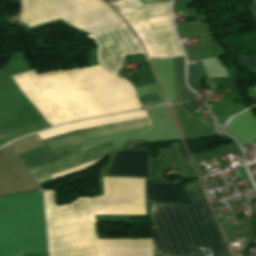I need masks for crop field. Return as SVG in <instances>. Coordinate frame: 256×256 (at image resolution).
<instances>
[{
	"mask_svg": "<svg viewBox=\"0 0 256 256\" xmlns=\"http://www.w3.org/2000/svg\"><path fill=\"white\" fill-rule=\"evenodd\" d=\"M104 196H89L96 256H153L150 239H99L93 214H144V179L103 177ZM49 256H95L88 196L56 205L43 190Z\"/></svg>",
	"mask_w": 256,
	"mask_h": 256,
	"instance_id": "1",
	"label": "crop field"
},
{
	"mask_svg": "<svg viewBox=\"0 0 256 256\" xmlns=\"http://www.w3.org/2000/svg\"><path fill=\"white\" fill-rule=\"evenodd\" d=\"M13 80L50 126L140 108L130 83L100 66Z\"/></svg>",
	"mask_w": 256,
	"mask_h": 256,
	"instance_id": "2",
	"label": "crop field"
},
{
	"mask_svg": "<svg viewBox=\"0 0 256 256\" xmlns=\"http://www.w3.org/2000/svg\"><path fill=\"white\" fill-rule=\"evenodd\" d=\"M183 187L191 205L152 203L155 256H191L193 246L229 256L199 181Z\"/></svg>",
	"mask_w": 256,
	"mask_h": 256,
	"instance_id": "3",
	"label": "crop field"
},
{
	"mask_svg": "<svg viewBox=\"0 0 256 256\" xmlns=\"http://www.w3.org/2000/svg\"><path fill=\"white\" fill-rule=\"evenodd\" d=\"M150 126L149 118H141L136 120H130L125 122H119V123H113L98 127H92L82 130H76L69 133H65L53 138H49L46 140H43V143L50 149H55L76 141L84 140L90 137L114 132V131H120V130H126V129H133V128H140V127H146ZM43 145L28 151H25L23 153L18 154V157L21 159V161L26 166L27 170L45 165L54 161L84 154L96 149H100L109 145H112L111 141L84 147L78 149V142L52 150L53 154L48 150V148ZM116 150L114 145L96 150L81 156L57 161L45 166H41L32 170H29L31 175L34 177L35 180L52 175L54 173L90 162L92 160L107 156L112 151Z\"/></svg>",
	"mask_w": 256,
	"mask_h": 256,
	"instance_id": "4",
	"label": "crop field"
},
{
	"mask_svg": "<svg viewBox=\"0 0 256 256\" xmlns=\"http://www.w3.org/2000/svg\"><path fill=\"white\" fill-rule=\"evenodd\" d=\"M47 252L41 191L0 198V256Z\"/></svg>",
	"mask_w": 256,
	"mask_h": 256,
	"instance_id": "5",
	"label": "crop field"
},
{
	"mask_svg": "<svg viewBox=\"0 0 256 256\" xmlns=\"http://www.w3.org/2000/svg\"><path fill=\"white\" fill-rule=\"evenodd\" d=\"M59 17L89 33L123 23L101 0H21L19 19L28 26Z\"/></svg>",
	"mask_w": 256,
	"mask_h": 256,
	"instance_id": "6",
	"label": "crop field"
},
{
	"mask_svg": "<svg viewBox=\"0 0 256 256\" xmlns=\"http://www.w3.org/2000/svg\"><path fill=\"white\" fill-rule=\"evenodd\" d=\"M129 22L150 58L182 55L173 35L169 2L142 4L140 0L109 2Z\"/></svg>",
	"mask_w": 256,
	"mask_h": 256,
	"instance_id": "7",
	"label": "crop field"
},
{
	"mask_svg": "<svg viewBox=\"0 0 256 256\" xmlns=\"http://www.w3.org/2000/svg\"><path fill=\"white\" fill-rule=\"evenodd\" d=\"M97 45V63L116 75L124 56L143 53L125 24L87 35Z\"/></svg>",
	"mask_w": 256,
	"mask_h": 256,
	"instance_id": "8",
	"label": "crop field"
},
{
	"mask_svg": "<svg viewBox=\"0 0 256 256\" xmlns=\"http://www.w3.org/2000/svg\"><path fill=\"white\" fill-rule=\"evenodd\" d=\"M107 176L148 177L147 150H126L116 153Z\"/></svg>",
	"mask_w": 256,
	"mask_h": 256,
	"instance_id": "9",
	"label": "crop field"
},
{
	"mask_svg": "<svg viewBox=\"0 0 256 256\" xmlns=\"http://www.w3.org/2000/svg\"><path fill=\"white\" fill-rule=\"evenodd\" d=\"M145 116L146 115L143 110H136V111L129 112V113L116 114V115H110V116H104V117L79 121L74 124L61 126L58 128H54V129L39 133V135L42 139H44V138H48L51 136H55V135L65 133L68 131H72V130H76V129H82V128L103 125V124H108V123H113V122L136 119V118H141V117H145Z\"/></svg>",
	"mask_w": 256,
	"mask_h": 256,
	"instance_id": "10",
	"label": "crop field"
},
{
	"mask_svg": "<svg viewBox=\"0 0 256 256\" xmlns=\"http://www.w3.org/2000/svg\"><path fill=\"white\" fill-rule=\"evenodd\" d=\"M146 200L181 203L179 184L146 181Z\"/></svg>",
	"mask_w": 256,
	"mask_h": 256,
	"instance_id": "11",
	"label": "crop field"
},
{
	"mask_svg": "<svg viewBox=\"0 0 256 256\" xmlns=\"http://www.w3.org/2000/svg\"><path fill=\"white\" fill-rule=\"evenodd\" d=\"M174 102H183L195 98L184 84L183 56L173 59Z\"/></svg>",
	"mask_w": 256,
	"mask_h": 256,
	"instance_id": "12",
	"label": "crop field"
},
{
	"mask_svg": "<svg viewBox=\"0 0 256 256\" xmlns=\"http://www.w3.org/2000/svg\"><path fill=\"white\" fill-rule=\"evenodd\" d=\"M137 98L143 106L162 103L157 92L138 96Z\"/></svg>",
	"mask_w": 256,
	"mask_h": 256,
	"instance_id": "13",
	"label": "crop field"
},
{
	"mask_svg": "<svg viewBox=\"0 0 256 256\" xmlns=\"http://www.w3.org/2000/svg\"><path fill=\"white\" fill-rule=\"evenodd\" d=\"M201 64L188 65V80L201 79L204 76Z\"/></svg>",
	"mask_w": 256,
	"mask_h": 256,
	"instance_id": "14",
	"label": "crop field"
},
{
	"mask_svg": "<svg viewBox=\"0 0 256 256\" xmlns=\"http://www.w3.org/2000/svg\"><path fill=\"white\" fill-rule=\"evenodd\" d=\"M240 63L245 69H256V56L243 58Z\"/></svg>",
	"mask_w": 256,
	"mask_h": 256,
	"instance_id": "15",
	"label": "crop field"
}]
</instances>
